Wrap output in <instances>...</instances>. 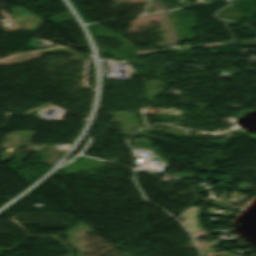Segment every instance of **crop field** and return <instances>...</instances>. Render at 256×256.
<instances>
[{
    "mask_svg": "<svg viewBox=\"0 0 256 256\" xmlns=\"http://www.w3.org/2000/svg\"><path fill=\"white\" fill-rule=\"evenodd\" d=\"M187 244H188V246L190 247V249L196 250L192 242H189V243H187Z\"/></svg>",
    "mask_w": 256,
    "mask_h": 256,
    "instance_id": "crop-field-3",
    "label": "crop field"
},
{
    "mask_svg": "<svg viewBox=\"0 0 256 256\" xmlns=\"http://www.w3.org/2000/svg\"><path fill=\"white\" fill-rule=\"evenodd\" d=\"M197 246L199 247V249L201 250L202 253L206 254V256H237V255H235L233 253H229L227 251L212 254L211 253L212 248L217 247L218 243L201 244V245H197Z\"/></svg>",
    "mask_w": 256,
    "mask_h": 256,
    "instance_id": "crop-field-2",
    "label": "crop field"
},
{
    "mask_svg": "<svg viewBox=\"0 0 256 256\" xmlns=\"http://www.w3.org/2000/svg\"><path fill=\"white\" fill-rule=\"evenodd\" d=\"M200 208H192L182 215L184 220L183 224L186 229L193 235L196 242L199 237L206 236L207 234L201 229L198 221V212ZM200 240V239H199ZM202 241V240H201ZM203 242V241H202Z\"/></svg>",
    "mask_w": 256,
    "mask_h": 256,
    "instance_id": "crop-field-1",
    "label": "crop field"
}]
</instances>
